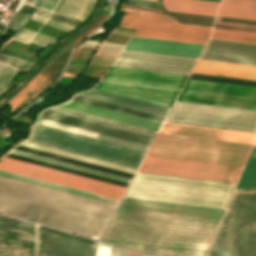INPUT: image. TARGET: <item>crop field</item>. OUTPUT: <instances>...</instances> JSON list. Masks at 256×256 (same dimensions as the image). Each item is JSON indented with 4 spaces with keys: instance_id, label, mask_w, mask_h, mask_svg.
<instances>
[{
    "instance_id": "crop-field-1",
    "label": "crop field",
    "mask_w": 256,
    "mask_h": 256,
    "mask_svg": "<svg viewBox=\"0 0 256 256\" xmlns=\"http://www.w3.org/2000/svg\"><path fill=\"white\" fill-rule=\"evenodd\" d=\"M223 212L123 197L100 240L159 256H205Z\"/></svg>"
},
{
    "instance_id": "crop-field-2",
    "label": "crop field",
    "mask_w": 256,
    "mask_h": 256,
    "mask_svg": "<svg viewBox=\"0 0 256 256\" xmlns=\"http://www.w3.org/2000/svg\"><path fill=\"white\" fill-rule=\"evenodd\" d=\"M116 205L0 176V212L99 239Z\"/></svg>"
},
{
    "instance_id": "crop-field-3",
    "label": "crop field",
    "mask_w": 256,
    "mask_h": 256,
    "mask_svg": "<svg viewBox=\"0 0 256 256\" xmlns=\"http://www.w3.org/2000/svg\"><path fill=\"white\" fill-rule=\"evenodd\" d=\"M231 184L136 173L125 196L225 209Z\"/></svg>"
},
{
    "instance_id": "crop-field-4",
    "label": "crop field",
    "mask_w": 256,
    "mask_h": 256,
    "mask_svg": "<svg viewBox=\"0 0 256 256\" xmlns=\"http://www.w3.org/2000/svg\"><path fill=\"white\" fill-rule=\"evenodd\" d=\"M207 256H256V191H235Z\"/></svg>"
},
{
    "instance_id": "crop-field-5",
    "label": "crop field",
    "mask_w": 256,
    "mask_h": 256,
    "mask_svg": "<svg viewBox=\"0 0 256 256\" xmlns=\"http://www.w3.org/2000/svg\"><path fill=\"white\" fill-rule=\"evenodd\" d=\"M27 142L137 169L146 151L35 124Z\"/></svg>"
},
{
    "instance_id": "crop-field-6",
    "label": "crop field",
    "mask_w": 256,
    "mask_h": 256,
    "mask_svg": "<svg viewBox=\"0 0 256 256\" xmlns=\"http://www.w3.org/2000/svg\"><path fill=\"white\" fill-rule=\"evenodd\" d=\"M251 146L158 134L148 154L243 166Z\"/></svg>"
},
{
    "instance_id": "crop-field-7",
    "label": "crop field",
    "mask_w": 256,
    "mask_h": 256,
    "mask_svg": "<svg viewBox=\"0 0 256 256\" xmlns=\"http://www.w3.org/2000/svg\"><path fill=\"white\" fill-rule=\"evenodd\" d=\"M165 122L256 133V111L176 101Z\"/></svg>"
},
{
    "instance_id": "crop-field-8",
    "label": "crop field",
    "mask_w": 256,
    "mask_h": 256,
    "mask_svg": "<svg viewBox=\"0 0 256 256\" xmlns=\"http://www.w3.org/2000/svg\"><path fill=\"white\" fill-rule=\"evenodd\" d=\"M242 168L146 155L138 171L235 183Z\"/></svg>"
},
{
    "instance_id": "crop-field-9",
    "label": "crop field",
    "mask_w": 256,
    "mask_h": 256,
    "mask_svg": "<svg viewBox=\"0 0 256 256\" xmlns=\"http://www.w3.org/2000/svg\"><path fill=\"white\" fill-rule=\"evenodd\" d=\"M121 27L137 29L133 35L205 45L211 28L177 24L173 20L124 13Z\"/></svg>"
},
{
    "instance_id": "crop-field-10",
    "label": "crop field",
    "mask_w": 256,
    "mask_h": 256,
    "mask_svg": "<svg viewBox=\"0 0 256 256\" xmlns=\"http://www.w3.org/2000/svg\"><path fill=\"white\" fill-rule=\"evenodd\" d=\"M177 100L256 110V88L187 80Z\"/></svg>"
},
{
    "instance_id": "crop-field-11",
    "label": "crop field",
    "mask_w": 256,
    "mask_h": 256,
    "mask_svg": "<svg viewBox=\"0 0 256 256\" xmlns=\"http://www.w3.org/2000/svg\"><path fill=\"white\" fill-rule=\"evenodd\" d=\"M0 170L34 177L77 189L101 194L115 199H121L125 187L9 159L1 158Z\"/></svg>"
},
{
    "instance_id": "crop-field-12",
    "label": "crop field",
    "mask_w": 256,
    "mask_h": 256,
    "mask_svg": "<svg viewBox=\"0 0 256 256\" xmlns=\"http://www.w3.org/2000/svg\"><path fill=\"white\" fill-rule=\"evenodd\" d=\"M97 242L38 225L37 256H95Z\"/></svg>"
},
{
    "instance_id": "crop-field-13",
    "label": "crop field",
    "mask_w": 256,
    "mask_h": 256,
    "mask_svg": "<svg viewBox=\"0 0 256 256\" xmlns=\"http://www.w3.org/2000/svg\"><path fill=\"white\" fill-rule=\"evenodd\" d=\"M36 225L0 216V256H35Z\"/></svg>"
},
{
    "instance_id": "crop-field-14",
    "label": "crop field",
    "mask_w": 256,
    "mask_h": 256,
    "mask_svg": "<svg viewBox=\"0 0 256 256\" xmlns=\"http://www.w3.org/2000/svg\"><path fill=\"white\" fill-rule=\"evenodd\" d=\"M196 60L122 50L114 66L188 75Z\"/></svg>"
},
{
    "instance_id": "crop-field-15",
    "label": "crop field",
    "mask_w": 256,
    "mask_h": 256,
    "mask_svg": "<svg viewBox=\"0 0 256 256\" xmlns=\"http://www.w3.org/2000/svg\"><path fill=\"white\" fill-rule=\"evenodd\" d=\"M95 89L119 94L171 108L180 90L153 86L101 81Z\"/></svg>"
},
{
    "instance_id": "crop-field-16",
    "label": "crop field",
    "mask_w": 256,
    "mask_h": 256,
    "mask_svg": "<svg viewBox=\"0 0 256 256\" xmlns=\"http://www.w3.org/2000/svg\"><path fill=\"white\" fill-rule=\"evenodd\" d=\"M187 76L111 66L102 79L181 89Z\"/></svg>"
},
{
    "instance_id": "crop-field-17",
    "label": "crop field",
    "mask_w": 256,
    "mask_h": 256,
    "mask_svg": "<svg viewBox=\"0 0 256 256\" xmlns=\"http://www.w3.org/2000/svg\"><path fill=\"white\" fill-rule=\"evenodd\" d=\"M204 46L131 36L123 49L198 59Z\"/></svg>"
},
{
    "instance_id": "crop-field-18",
    "label": "crop field",
    "mask_w": 256,
    "mask_h": 256,
    "mask_svg": "<svg viewBox=\"0 0 256 256\" xmlns=\"http://www.w3.org/2000/svg\"><path fill=\"white\" fill-rule=\"evenodd\" d=\"M200 58L256 65V45L210 39Z\"/></svg>"
},
{
    "instance_id": "crop-field-19",
    "label": "crop field",
    "mask_w": 256,
    "mask_h": 256,
    "mask_svg": "<svg viewBox=\"0 0 256 256\" xmlns=\"http://www.w3.org/2000/svg\"><path fill=\"white\" fill-rule=\"evenodd\" d=\"M56 107H60V108L96 116V117H100V118H104V119H108V120H112V121H116V122H120V123H124V124H128V125H132V126L156 131V132L158 131V129L161 125L160 122H156V121H152V120H148V119H144V118H140V117H136V116H132V115H128V114H124V113H120V112H116V111H112V110H108V109L72 101V100L68 101L65 104L56 106Z\"/></svg>"
},
{
    "instance_id": "crop-field-20",
    "label": "crop field",
    "mask_w": 256,
    "mask_h": 256,
    "mask_svg": "<svg viewBox=\"0 0 256 256\" xmlns=\"http://www.w3.org/2000/svg\"><path fill=\"white\" fill-rule=\"evenodd\" d=\"M40 118L132 140V141H136V142H140L148 145H150L151 141L153 140V137L121 130L118 128L82 120L79 118H75V117H71V116H67V115H63V114H59V113H55L47 110L41 113Z\"/></svg>"
},
{
    "instance_id": "crop-field-21",
    "label": "crop field",
    "mask_w": 256,
    "mask_h": 256,
    "mask_svg": "<svg viewBox=\"0 0 256 256\" xmlns=\"http://www.w3.org/2000/svg\"><path fill=\"white\" fill-rule=\"evenodd\" d=\"M77 95L117 104L120 106L132 108V109H136V110H140V111H144V112H148V113H152V114H156L164 117H166L169 111V108L145 103L142 101L122 97L119 95H115V94H111V93H107V92H103L95 89L84 91Z\"/></svg>"
},
{
    "instance_id": "crop-field-22",
    "label": "crop field",
    "mask_w": 256,
    "mask_h": 256,
    "mask_svg": "<svg viewBox=\"0 0 256 256\" xmlns=\"http://www.w3.org/2000/svg\"><path fill=\"white\" fill-rule=\"evenodd\" d=\"M216 2L200 0H162L165 10L215 16L218 8Z\"/></svg>"
},
{
    "instance_id": "crop-field-23",
    "label": "crop field",
    "mask_w": 256,
    "mask_h": 256,
    "mask_svg": "<svg viewBox=\"0 0 256 256\" xmlns=\"http://www.w3.org/2000/svg\"><path fill=\"white\" fill-rule=\"evenodd\" d=\"M94 2L95 0H59L53 13L83 20Z\"/></svg>"
},
{
    "instance_id": "crop-field-24",
    "label": "crop field",
    "mask_w": 256,
    "mask_h": 256,
    "mask_svg": "<svg viewBox=\"0 0 256 256\" xmlns=\"http://www.w3.org/2000/svg\"><path fill=\"white\" fill-rule=\"evenodd\" d=\"M218 15L256 20V5L222 1Z\"/></svg>"
},
{
    "instance_id": "crop-field-25",
    "label": "crop field",
    "mask_w": 256,
    "mask_h": 256,
    "mask_svg": "<svg viewBox=\"0 0 256 256\" xmlns=\"http://www.w3.org/2000/svg\"><path fill=\"white\" fill-rule=\"evenodd\" d=\"M0 175L12 177V178H15V179L35 183V184H38V185H42V186H46V187H50V188H54V189H58V190H62V191L82 195V196H86V197H90V198H94V199H98V200H100V198H101V196H99V195H95V194H91V193H87V192H83V191H79V190H75V189H71V188H67V187H63V186H59V185H56V184H52V183H48V182H44V181H40V180L28 178V177L16 175V174L4 172V171H0ZM101 201L109 202V203L116 204V205H118V203H119V200H115V199H111V198H107V197H103V196L101 198Z\"/></svg>"
},
{
    "instance_id": "crop-field-26",
    "label": "crop field",
    "mask_w": 256,
    "mask_h": 256,
    "mask_svg": "<svg viewBox=\"0 0 256 256\" xmlns=\"http://www.w3.org/2000/svg\"><path fill=\"white\" fill-rule=\"evenodd\" d=\"M21 146H25V147H29V148H33V149H37V150H41V151H45V152H49V153L69 157V158H73V159H77V160H81V161H85V162H89V163H93V164H97V165H101V166H105V167H109V168L129 172V173H133V174L136 171L135 169H131V168H127V167H123V166H119V165H115V164H111V163H107V162H103V161H99V160H95V159H91V158L71 154V153H67V152H63V151H59V150H55V149H51V148H47V147H43V146L31 144V143H27V142L23 143Z\"/></svg>"
},
{
    "instance_id": "crop-field-27",
    "label": "crop field",
    "mask_w": 256,
    "mask_h": 256,
    "mask_svg": "<svg viewBox=\"0 0 256 256\" xmlns=\"http://www.w3.org/2000/svg\"><path fill=\"white\" fill-rule=\"evenodd\" d=\"M235 189H256V145L252 148L247 164Z\"/></svg>"
},
{
    "instance_id": "crop-field-28",
    "label": "crop field",
    "mask_w": 256,
    "mask_h": 256,
    "mask_svg": "<svg viewBox=\"0 0 256 256\" xmlns=\"http://www.w3.org/2000/svg\"><path fill=\"white\" fill-rule=\"evenodd\" d=\"M4 156L9 157V158H13V159H17V160H21V161H25V162H29V163H33V164H37V165H41V166H45V167H49V168H53V169H57V170H61V171H65V172H69V173H73V174H77V175H81V176H85V177H89V178H93V179H97V180H101V181H105V182H109V183H113V184H117V185H121V186H125V187H127V185H128V183H124V182H120V181H116V180H112V179L92 175V174H89V173H85V172H81V171H77V170H73V169H69V168H65V167H61V166H57V165H53V164H49V163H46V162H42V161H38V160H34V159L22 157V156L10 154V153H8Z\"/></svg>"
},
{
    "instance_id": "crop-field-29",
    "label": "crop field",
    "mask_w": 256,
    "mask_h": 256,
    "mask_svg": "<svg viewBox=\"0 0 256 256\" xmlns=\"http://www.w3.org/2000/svg\"><path fill=\"white\" fill-rule=\"evenodd\" d=\"M37 123H41V124H45V125H49V126H53V127H57V128H61V129H65V130H69V131L89 135V136H93V137L98 136V133L82 130V129H79V128L59 124V123H56V122H52V121H48V120H44V119H40V118L37 121ZM98 138L113 141V142H117V143H121V144H125V145H129V146H133V147H137V148H141V149H145V150H147L148 147H149L147 145H143V144L127 141V140H122V139H118V138H114V137H110V136H106V135H102V134H99Z\"/></svg>"
},
{
    "instance_id": "crop-field-30",
    "label": "crop field",
    "mask_w": 256,
    "mask_h": 256,
    "mask_svg": "<svg viewBox=\"0 0 256 256\" xmlns=\"http://www.w3.org/2000/svg\"><path fill=\"white\" fill-rule=\"evenodd\" d=\"M47 110L79 117L82 119L118 127L121 129L129 130V131H133V132H137V133H141V134H145V135H149V136H153V137H155V135H156V132H152V131H148V130H144V129H140V128H136V127H132V126H128V125H124V124H120V123H116V122H112V121H108V120H104V119H100V118H96V117H92V116H88V115H84V114H80V113H76V112H72V111H68V110H64V109H60V108H56V107H52Z\"/></svg>"
},
{
    "instance_id": "crop-field-31",
    "label": "crop field",
    "mask_w": 256,
    "mask_h": 256,
    "mask_svg": "<svg viewBox=\"0 0 256 256\" xmlns=\"http://www.w3.org/2000/svg\"><path fill=\"white\" fill-rule=\"evenodd\" d=\"M211 38L256 43V33L214 28Z\"/></svg>"
},
{
    "instance_id": "crop-field-32",
    "label": "crop field",
    "mask_w": 256,
    "mask_h": 256,
    "mask_svg": "<svg viewBox=\"0 0 256 256\" xmlns=\"http://www.w3.org/2000/svg\"><path fill=\"white\" fill-rule=\"evenodd\" d=\"M178 23L212 26L215 17L166 11Z\"/></svg>"
},
{
    "instance_id": "crop-field-33",
    "label": "crop field",
    "mask_w": 256,
    "mask_h": 256,
    "mask_svg": "<svg viewBox=\"0 0 256 256\" xmlns=\"http://www.w3.org/2000/svg\"><path fill=\"white\" fill-rule=\"evenodd\" d=\"M10 153H14V154H18V155H22V156H26V157H30V158H34V159H38V160H42V161H46V162H49V163H53V164H57V165H61V166H65V167H69V168L89 172V173H92V174H96V175H100V176H104V177H108V178H112V179H116V180H120V181H124V182H128V183L130 182V179H126V178H122V177H118V176H114V175H110V174H106V173H102V172H98V171H94V170L74 166V165H71V164H67V163H63V162H59V161H55V160H51V159H47V158H43V157L31 155V154H27V153L15 151V150L11 151Z\"/></svg>"
},
{
    "instance_id": "crop-field-34",
    "label": "crop field",
    "mask_w": 256,
    "mask_h": 256,
    "mask_svg": "<svg viewBox=\"0 0 256 256\" xmlns=\"http://www.w3.org/2000/svg\"><path fill=\"white\" fill-rule=\"evenodd\" d=\"M72 99L97 105V106H101V107H105V108H109V109H113V110H117V111H121V112H125V113H129V114H133V115H137V116H141V117H145V118H149V119H153V120H157V121H161V122H163L164 120L163 117H159V116H155V115H151V114H147V113H143V112H139V111L123 108V107H118V106H114V105H110V104H106V103H102V102H98V101H94V100H90V99H86L78 96H74Z\"/></svg>"
},
{
    "instance_id": "crop-field-35",
    "label": "crop field",
    "mask_w": 256,
    "mask_h": 256,
    "mask_svg": "<svg viewBox=\"0 0 256 256\" xmlns=\"http://www.w3.org/2000/svg\"><path fill=\"white\" fill-rule=\"evenodd\" d=\"M100 1H98L97 6L95 8V10L93 11V13L91 14V16L72 34H70L69 36L63 38L53 49H51L45 56L44 58L37 64L36 68L29 74L27 75L24 80L15 88L13 89L6 97H4L1 102L3 100H5L14 90H16L27 78H29L49 57H51L63 44H65L82 26H84L94 15V13L96 12V10L98 9L99 5H100Z\"/></svg>"
},
{
    "instance_id": "crop-field-36",
    "label": "crop field",
    "mask_w": 256,
    "mask_h": 256,
    "mask_svg": "<svg viewBox=\"0 0 256 256\" xmlns=\"http://www.w3.org/2000/svg\"><path fill=\"white\" fill-rule=\"evenodd\" d=\"M37 77V76H36ZM47 77L39 75L22 91H20L8 104L11 106V111L17 107L28 95H30Z\"/></svg>"
},
{
    "instance_id": "crop-field-37",
    "label": "crop field",
    "mask_w": 256,
    "mask_h": 256,
    "mask_svg": "<svg viewBox=\"0 0 256 256\" xmlns=\"http://www.w3.org/2000/svg\"><path fill=\"white\" fill-rule=\"evenodd\" d=\"M16 71L17 68L0 63V94Z\"/></svg>"
},
{
    "instance_id": "crop-field-38",
    "label": "crop field",
    "mask_w": 256,
    "mask_h": 256,
    "mask_svg": "<svg viewBox=\"0 0 256 256\" xmlns=\"http://www.w3.org/2000/svg\"><path fill=\"white\" fill-rule=\"evenodd\" d=\"M0 62L28 71L32 64L0 54Z\"/></svg>"
},
{
    "instance_id": "crop-field-39",
    "label": "crop field",
    "mask_w": 256,
    "mask_h": 256,
    "mask_svg": "<svg viewBox=\"0 0 256 256\" xmlns=\"http://www.w3.org/2000/svg\"><path fill=\"white\" fill-rule=\"evenodd\" d=\"M0 53L15 57L17 59H20V60H23V61H26V62H29L32 64H34L35 61L37 60V58L31 57V56H28V55H25V54H22V53H19V52H16V51L4 48V47H2V49L0 50Z\"/></svg>"
},
{
    "instance_id": "crop-field-40",
    "label": "crop field",
    "mask_w": 256,
    "mask_h": 256,
    "mask_svg": "<svg viewBox=\"0 0 256 256\" xmlns=\"http://www.w3.org/2000/svg\"><path fill=\"white\" fill-rule=\"evenodd\" d=\"M50 19L59 21L61 23H64L73 27H75L77 24L81 22V20H77V19H73V18H69V17H65V16L53 14V13L50 16Z\"/></svg>"
},
{
    "instance_id": "crop-field-41",
    "label": "crop field",
    "mask_w": 256,
    "mask_h": 256,
    "mask_svg": "<svg viewBox=\"0 0 256 256\" xmlns=\"http://www.w3.org/2000/svg\"><path fill=\"white\" fill-rule=\"evenodd\" d=\"M34 34L35 32L22 28L19 32H17L14 36H12V38L29 42L31 38L34 36Z\"/></svg>"
},
{
    "instance_id": "crop-field-42",
    "label": "crop field",
    "mask_w": 256,
    "mask_h": 256,
    "mask_svg": "<svg viewBox=\"0 0 256 256\" xmlns=\"http://www.w3.org/2000/svg\"><path fill=\"white\" fill-rule=\"evenodd\" d=\"M125 3L131 4V5H138V6H145V7H151V8H159L158 2L155 1H148V0H127Z\"/></svg>"
},
{
    "instance_id": "crop-field-43",
    "label": "crop field",
    "mask_w": 256,
    "mask_h": 256,
    "mask_svg": "<svg viewBox=\"0 0 256 256\" xmlns=\"http://www.w3.org/2000/svg\"><path fill=\"white\" fill-rule=\"evenodd\" d=\"M55 39H52L50 37L44 36L42 34L37 33L34 38L31 40V42L40 44L45 46L47 43H53Z\"/></svg>"
},
{
    "instance_id": "crop-field-44",
    "label": "crop field",
    "mask_w": 256,
    "mask_h": 256,
    "mask_svg": "<svg viewBox=\"0 0 256 256\" xmlns=\"http://www.w3.org/2000/svg\"><path fill=\"white\" fill-rule=\"evenodd\" d=\"M58 0H40L37 8L52 11Z\"/></svg>"
},
{
    "instance_id": "crop-field-45",
    "label": "crop field",
    "mask_w": 256,
    "mask_h": 256,
    "mask_svg": "<svg viewBox=\"0 0 256 256\" xmlns=\"http://www.w3.org/2000/svg\"><path fill=\"white\" fill-rule=\"evenodd\" d=\"M29 15L27 14H22V13H19V15L17 16V18L15 19V21L13 22L12 26L10 29H13V30H18L22 25L25 24L27 18H28Z\"/></svg>"
},
{
    "instance_id": "crop-field-46",
    "label": "crop field",
    "mask_w": 256,
    "mask_h": 256,
    "mask_svg": "<svg viewBox=\"0 0 256 256\" xmlns=\"http://www.w3.org/2000/svg\"><path fill=\"white\" fill-rule=\"evenodd\" d=\"M121 10L126 11V12L138 13V14H145V15H151V16H157V17L170 18L168 15L158 14V13L144 12V11H138V10L125 9V8H121ZM170 19H172V18H170Z\"/></svg>"
},
{
    "instance_id": "crop-field-47",
    "label": "crop field",
    "mask_w": 256,
    "mask_h": 256,
    "mask_svg": "<svg viewBox=\"0 0 256 256\" xmlns=\"http://www.w3.org/2000/svg\"><path fill=\"white\" fill-rule=\"evenodd\" d=\"M129 252L115 247L110 248L109 256H128Z\"/></svg>"
},
{
    "instance_id": "crop-field-48",
    "label": "crop field",
    "mask_w": 256,
    "mask_h": 256,
    "mask_svg": "<svg viewBox=\"0 0 256 256\" xmlns=\"http://www.w3.org/2000/svg\"><path fill=\"white\" fill-rule=\"evenodd\" d=\"M109 248L110 246L99 243L96 256H108Z\"/></svg>"
},
{
    "instance_id": "crop-field-49",
    "label": "crop field",
    "mask_w": 256,
    "mask_h": 256,
    "mask_svg": "<svg viewBox=\"0 0 256 256\" xmlns=\"http://www.w3.org/2000/svg\"><path fill=\"white\" fill-rule=\"evenodd\" d=\"M95 58H100V59H104V60H109V61H112V59H107V58H101V57H96L94 56ZM93 58L94 60H99V61H103V62H108L110 63L109 61H104V60H100V59H95ZM92 60L90 65H93V66H99V67H104V68H107L108 67V63H103V62H99V61H94Z\"/></svg>"
},
{
    "instance_id": "crop-field-50",
    "label": "crop field",
    "mask_w": 256,
    "mask_h": 256,
    "mask_svg": "<svg viewBox=\"0 0 256 256\" xmlns=\"http://www.w3.org/2000/svg\"><path fill=\"white\" fill-rule=\"evenodd\" d=\"M46 24H49V25H52V26H55V27H58V28H61V29L67 30V31H69L73 28V27L58 23V22L50 20V19L47 20Z\"/></svg>"
},
{
    "instance_id": "crop-field-51",
    "label": "crop field",
    "mask_w": 256,
    "mask_h": 256,
    "mask_svg": "<svg viewBox=\"0 0 256 256\" xmlns=\"http://www.w3.org/2000/svg\"><path fill=\"white\" fill-rule=\"evenodd\" d=\"M41 47L43 46L29 42L28 45L25 47L24 51L34 54L36 50Z\"/></svg>"
},
{
    "instance_id": "crop-field-52",
    "label": "crop field",
    "mask_w": 256,
    "mask_h": 256,
    "mask_svg": "<svg viewBox=\"0 0 256 256\" xmlns=\"http://www.w3.org/2000/svg\"><path fill=\"white\" fill-rule=\"evenodd\" d=\"M42 29L52 31V32H55V33H58V34H61V35L67 33V31H64V30H61V29H58V28H55V27H52V26H49V25H46V24L43 25Z\"/></svg>"
},
{
    "instance_id": "crop-field-53",
    "label": "crop field",
    "mask_w": 256,
    "mask_h": 256,
    "mask_svg": "<svg viewBox=\"0 0 256 256\" xmlns=\"http://www.w3.org/2000/svg\"><path fill=\"white\" fill-rule=\"evenodd\" d=\"M114 44H115V43H114ZM114 44H109V43L102 42V44H101V45H102V46L113 47V48H119V49H121V48H122V46H120L121 44H120V45H114ZM102 46H100L99 48L120 51L119 49H113V48L102 47Z\"/></svg>"
},
{
    "instance_id": "crop-field-54",
    "label": "crop field",
    "mask_w": 256,
    "mask_h": 256,
    "mask_svg": "<svg viewBox=\"0 0 256 256\" xmlns=\"http://www.w3.org/2000/svg\"><path fill=\"white\" fill-rule=\"evenodd\" d=\"M31 19H34V20H37L39 22H42L44 23V21L46 20V17H43V16H40V15H37V14H32L31 16Z\"/></svg>"
},
{
    "instance_id": "crop-field-55",
    "label": "crop field",
    "mask_w": 256,
    "mask_h": 256,
    "mask_svg": "<svg viewBox=\"0 0 256 256\" xmlns=\"http://www.w3.org/2000/svg\"><path fill=\"white\" fill-rule=\"evenodd\" d=\"M226 1H234V2H242V3L256 4V0H226Z\"/></svg>"
},
{
    "instance_id": "crop-field-56",
    "label": "crop field",
    "mask_w": 256,
    "mask_h": 256,
    "mask_svg": "<svg viewBox=\"0 0 256 256\" xmlns=\"http://www.w3.org/2000/svg\"><path fill=\"white\" fill-rule=\"evenodd\" d=\"M86 42L88 43H96V44H99L100 42H97V41H91V40H87ZM88 43H82L81 45L83 46H93V47H98V45L96 44H88Z\"/></svg>"
},
{
    "instance_id": "crop-field-57",
    "label": "crop field",
    "mask_w": 256,
    "mask_h": 256,
    "mask_svg": "<svg viewBox=\"0 0 256 256\" xmlns=\"http://www.w3.org/2000/svg\"><path fill=\"white\" fill-rule=\"evenodd\" d=\"M34 13H37V14H40V15H43L46 17H48V15H49V12H45V11H41V10H37V9H35Z\"/></svg>"
},
{
    "instance_id": "crop-field-58",
    "label": "crop field",
    "mask_w": 256,
    "mask_h": 256,
    "mask_svg": "<svg viewBox=\"0 0 256 256\" xmlns=\"http://www.w3.org/2000/svg\"><path fill=\"white\" fill-rule=\"evenodd\" d=\"M97 56H103V57H110V58H115L114 55H109V54H105V53H100V52H96Z\"/></svg>"
},
{
    "instance_id": "crop-field-59",
    "label": "crop field",
    "mask_w": 256,
    "mask_h": 256,
    "mask_svg": "<svg viewBox=\"0 0 256 256\" xmlns=\"http://www.w3.org/2000/svg\"><path fill=\"white\" fill-rule=\"evenodd\" d=\"M28 24L35 25V26H38V27H40L42 25V23L36 22L34 20H31V19L29 20Z\"/></svg>"
},
{
    "instance_id": "crop-field-60",
    "label": "crop field",
    "mask_w": 256,
    "mask_h": 256,
    "mask_svg": "<svg viewBox=\"0 0 256 256\" xmlns=\"http://www.w3.org/2000/svg\"><path fill=\"white\" fill-rule=\"evenodd\" d=\"M36 1H37V0H26V1H25V4H28V5L33 6V7H34V6H35V4H36Z\"/></svg>"
},
{
    "instance_id": "crop-field-61",
    "label": "crop field",
    "mask_w": 256,
    "mask_h": 256,
    "mask_svg": "<svg viewBox=\"0 0 256 256\" xmlns=\"http://www.w3.org/2000/svg\"><path fill=\"white\" fill-rule=\"evenodd\" d=\"M100 52H105V53H109V54H114L117 55L118 52L116 51H110V50H103V49H99Z\"/></svg>"
},
{
    "instance_id": "crop-field-62",
    "label": "crop field",
    "mask_w": 256,
    "mask_h": 256,
    "mask_svg": "<svg viewBox=\"0 0 256 256\" xmlns=\"http://www.w3.org/2000/svg\"><path fill=\"white\" fill-rule=\"evenodd\" d=\"M111 33H115V34H125V35H130L131 33L129 32H123V31H117V30H113Z\"/></svg>"
},
{
    "instance_id": "crop-field-63",
    "label": "crop field",
    "mask_w": 256,
    "mask_h": 256,
    "mask_svg": "<svg viewBox=\"0 0 256 256\" xmlns=\"http://www.w3.org/2000/svg\"><path fill=\"white\" fill-rule=\"evenodd\" d=\"M129 256H143V255H139V254H135V253L130 252Z\"/></svg>"
},
{
    "instance_id": "crop-field-64",
    "label": "crop field",
    "mask_w": 256,
    "mask_h": 256,
    "mask_svg": "<svg viewBox=\"0 0 256 256\" xmlns=\"http://www.w3.org/2000/svg\"><path fill=\"white\" fill-rule=\"evenodd\" d=\"M208 1H216V2H219V0H208Z\"/></svg>"
}]
</instances>
